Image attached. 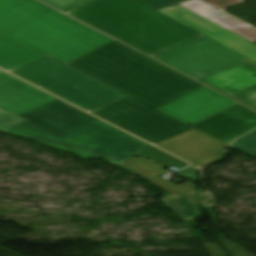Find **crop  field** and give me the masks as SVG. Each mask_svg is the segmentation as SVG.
Wrapping results in <instances>:
<instances>
[{
  "label": "crop field",
  "mask_w": 256,
  "mask_h": 256,
  "mask_svg": "<svg viewBox=\"0 0 256 256\" xmlns=\"http://www.w3.org/2000/svg\"><path fill=\"white\" fill-rule=\"evenodd\" d=\"M194 193L182 198L170 194L161 200L167 208L176 213L179 217L184 220H191L201 216L193 198Z\"/></svg>",
  "instance_id": "22f410ed"
},
{
  "label": "crop field",
  "mask_w": 256,
  "mask_h": 256,
  "mask_svg": "<svg viewBox=\"0 0 256 256\" xmlns=\"http://www.w3.org/2000/svg\"><path fill=\"white\" fill-rule=\"evenodd\" d=\"M155 145L198 167L221 158L226 146L194 129Z\"/></svg>",
  "instance_id": "5a996713"
},
{
  "label": "crop field",
  "mask_w": 256,
  "mask_h": 256,
  "mask_svg": "<svg viewBox=\"0 0 256 256\" xmlns=\"http://www.w3.org/2000/svg\"><path fill=\"white\" fill-rule=\"evenodd\" d=\"M197 202L201 201H208L203 191H199L198 194H196Z\"/></svg>",
  "instance_id": "00972430"
},
{
  "label": "crop field",
  "mask_w": 256,
  "mask_h": 256,
  "mask_svg": "<svg viewBox=\"0 0 256 256\" xmlns=\"http://www.w3.org/2000/svg\"><path fill=\"white\" fill-rule=\"evenodd\" d=\"M45 56L47 55L0 31V67L3 69L9 71Z\"/></svg>",
  "instance_id": "d1516ede"
},
{
  "label": "crop field",
  "mask_w": 256,
  "mask_h": 256,
  "mask_svg": "<svg viewBox=\"0 0 256 256\" xmlns=\"http://www.w3.org/2000/svg\"><path fill=\"white\" fill-rule=\"evenodd\" d=\"M155 9L174 5V4H182L185 2L193 1V0H139Z\"/></svg>",
  "instance_id": "bc2a9ffb"
},
{
  "label": "crop field",
  "mask_w": 256,
  "mask_h": 256,
  "mask_svg": "<svg viewBox=\"0 0 256 256\" xmlns=\"http://www.w3.org/2000/svg\"><path fill=\"white\" fill-rule=\"evenodd\" d=\"M0 107L23 119L2 132L123 165L146 143L0 70Z\"/></svg>",
  "instance_id": "ac0d7876"
},
{
  "label": "crop field",
  "mask_w": 256,
  "mask_h": 256,
  "mask_svg": "<svg viewBox=\"0 0 256 256\" xmlns=\"http://www.w3.org/2000/svg\"><path fill=\"white\" fill-rule=\"evenodd\" d=\"M69 65L130 96L92 114L152 144L191 129L155 109L202 84L116 41Z\"/></svg>",
  "instance_id": "8a807250"
},
{
  "label": "crop field",
  "mask_w": 256,
  "mask_h": 256,
  "mask_svg": "<svg viewBox=\"0 0 256 256\" xmlns=\"http://www.w3.org/2000/svg\"><path fill=\"white\" fill-rule=\"evenodd\" d=\"M43 1L65 11L69 8H72L88 0H43Z\"/></svg>",
  "instance_id": "4a817a6b"
},
{
  "label": "crop field",
  "mask_w": 256,
  "mask_h": 256,
  "mask_svg": "<svg viewBox=\"0 0 256 256\" xmlns=\"http://www.w3.org/2000/svg\"><path fill=\"white\" fill-rule=\"evenodd\" d=\"M0 30L66 64L114 41L36 0H0Z\"/></svg>",
  "instance_id": "34b2d1b8"
},
{
  "label": "crop field",
  "mask_w": 256,
  "mask_h": 256,
  "mask_svg": "<svg viewBox=\"0 0 256 256\" xmlns=\"http://www.w3.org/2000/svg\"><path fill=\"white\" fill-rule=\"evenodd\" d=\"M233 98L256 109V88Z\"/></svg>",
  "instance_id": "214f88e0"
},
{
  "label": "crop field",
  "mask_w": 256,
  "mask_h": 256,
  "mask_svg": "<svg viewBox=\"0 0 256 256\" xmlns=\"http://www.w3.org/2000/svg\"><path fill=\"white\" fill-rule=\"evenodd\" d=\"M9 72L89 112L128 97L49 56Z\"/></svg>",
  "instance_id": "f4fd0767"
},
{
  "label": "crop field",
  "mask_w": 256,
  "mask_h": 256,
  "mask_svg": "<svg viewBox=\"0 0 256 256\" xmlns=\"http://www.w3.org/2000/svg\"><path fill=\"white\" fill-rule=\"evenodd\" d=\"M177 174H179L183 178L190 179L196 183L199 181L198 169L193 166L182 171H179L177 172Z\"/></svg>",
  "instance_id": "dafd665d"
},
{
  "label": "crop field",
  "mask_w": 256,
  "mask_h": 256,
  "mask_svg": "<svg viewBox=\"0 0 256 256\" xmlns=\"http://www.w3.org/2000/svg\"><path fill=\"white\" fill-rule=\"evenodd\" d=\"M192 128L229 145L256 128V112L239 104Z\"/></svg>",
  "instance_id": "3316defc"
},
{
  "label": "crop field",
  "mask_w": 256,
  "mask_h": 256,
  "mask_svg": "<svg viewBox=\"0 0 256 256\" xmlns=\"http://www.w3.org/2000/svg\"><path fill=\"white\" fill-rule=\"evenodd\" d=\"M65 12L153 57L204 37L136 0H90Z\"/></svg>",
  "instance_id": "412701ff"
},
{
  "label": "crop field",
  "mask_w": 256,
  "mask_h": 256,
  "mask_svg": "<svg viewBox=\"0 0 256 256\" xmlns=\"http://www.w3.org/2000/svg\"><path fill=\"white\" fill-rule=\"evenodd\" d=\"M182 6L214 21L216 19L222 18L224 16H227L226 14L220 12L219 10L203 3L200 0L189 2L182 4Z\"/></svg>",
  "instance_id": "d9b57169"
},
{
  "label": "crop field",
  "mask_w": 256,
  "mask_h": 256,
  "mask_svg": "<svg viewBox=\"0 0 256 256\" xmlns=\"http://www.w3.org/2000/svg\"><path fill=\"white\" fill-rule=\"evenodd\" d=\"M198 81L232 97L256 87V62L249 59Z\"/></svg>",
  "instance_id": "28ad6ade"
},
{
  "label": "crop field",
  "mask_w": 256,
  "mask_h": 256,
  "mask_svg": "<svg viewBox=\"0 0 256 256\" xmlns=\"http://www.w3.org/2000/svg\"><path fill=\"white\" fill-rule=\"evenodd\" d=\"M155 58L197 79L249 59L207 37Z\"/></svg>",
  "instance_id": "dd49c442"
},
{
  "label": "crop field",
  "mask_w": 256,
  "mask_h": 256,
  "mask_svg": "<svg viewBox=\"0 0 256 256\" xmlns=\"http://www.w3.org/2000/svg\"><path fill=\"white\" fill-rule=\"evenodd\" d=\"M214 22L256 43V29L230 16Z\"/></svg>",
  "instance_id": "5142ce71"
},
{
  "label": "crop field",
  "mask_w": 256,
  "mask_h": 256,
  "mask_svg": "<svg viewBox=\"0 0 256 256\" xmlns=\"http://www.w3.org/2000/svg\"><path fill=\"white\" fill-rule=\"evenodd\" d=\"M21 118L0 108V129Z\"/></svg>",
  "instance_id": "92a150f3"
},
{
  "label": "crop field",
  "mask_w": 256,
  "mask_h": 256,
  "mask_svg": "<svg viewBox=\"0 0 256 256\" xmlns=\"http://www.w3.org/2000/svg\"><path fill=\"white\" fill-rule=\"evenodd\" d=\"M135 156L141 157V158H146L151 161L158 162L166 167H175L176 169L180 170L186 166H189L188 164L184 163L183 161L151 146L148 145L145 147L142 151H140L138 154Z\"/></svg>",
  "instance_id": "cbeb9de0"
},
{
  "label": "crop field",
  "mask_w": 256,
  "mask_h": 256,
  "mask_svg": "<svg viewBox=\"0 0 256 256\" xmlns=\"http://www.w3.org/2000/svg\"><path fill=\"white\" fill-rule=\"evenodd\" d=\"M160 12L256 61V44L178 5Z\"/></svg>",
  "instance_id": "d8731c3e"
},
{
  "label": "crop field",
  "mask_w": 256,
  "mask_h": 256,
  "mask_svg": "<svg viewBox=\"0 0 256 256\" xmlns=\"http://www.w3.org/2000/svg\"><path fill=\"white\" fill-rule=\"evenodd\" d=\"M237 104L203 86L157 110L191 126Z\"/></svg>",
  "instance_id": "e52e79f7"
},
{
  "label": "crop field",
  "mask_w": 256,
  "mask_h": 256,
  "mask_svg": "<svg viewBox=\"0 0 256 256\" xmlns=\"http://www.w3.org/2000/svg\"><path fill=\"white\" fill-rule=\"evenodd\" d=\"M230 147L251 156H256V130L239 138Z\"/></svg>",
  "instance_id": "733c2abd"
}]
</instances>
